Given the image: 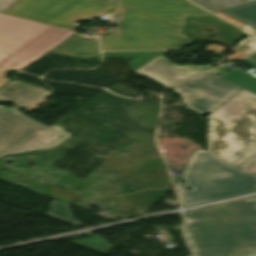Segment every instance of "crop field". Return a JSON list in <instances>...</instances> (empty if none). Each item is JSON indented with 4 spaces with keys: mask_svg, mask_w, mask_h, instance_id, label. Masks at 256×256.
<instances>
[{
    "mask_svg": "<svg viewBox=\"0 0 256 256\" xmlns=\"http://www.w3.org/2000/svg\"><path fill=\"white\" fill-rule=\"evenodd\" d=\"M184 233L195 256H256V197L188 211Z\"/></svg>",
    "mask_w": 256,
    "mask_h": 256,
    "instance_id": "crop-field-1",
    "label": "crop field"
},
{
    "mask_svg": "<svg viewBox=\"0 0 256 256\" xmlns=\"http://www.w3.org/2000/svg\"><path fill=\"white\" fill-rule=\"evenodd\" d=\"M207 138L208 152L244 173H256V95L243 89L210 114Z\"/></svg>",
    "mask_w": 256,
    "mask_h": 256,
    "instance_id": "crop-field-2",
    "label": "crop field"
},
{
    "mask_svg": "<svg viewBox=\"0 0 256 256\" xmlns=\"http://www.w3.org/2000/svg\"><path fill=\"white\" fill-rule=\"evenodd\" d=\"M175 185L182 189L177 192L182 206H189L256 192V174H244L207 151L197 150ZM186 187L192 189L185 191Z\"/></svg>",
    "mask_w": 256,
    "mask_h": 256,
    "instance_id": "crop-field-3",
    "label": "crop field"
},
{
    "mask_svg": "<svg viewBox=\"0 0 256 256\" xmlns=\"http://www.w3.org/2000/svg\"><path fill=\"white\" fill-rule=\"evenodd\" d=\"M119 26L110 36H101L104 51L115 50H179L194 42L180 35L181 29L142 13L119 7L114 14Z\"/></svg>",
    "mask_w": 256,
    "mask_h": 256,
    "instance_id": "crop-field-4",
    "label": "crop field"
},
{
    "mask_svg": "<svg viewBox=\"0 0 256 256\" xmlns=\"http://www.w3.org/2000/svg\"><path fill=\"white\" fill-rule=\"evenodd\" d=\"M72 33L0 14V69L20 70Z\"/></svg>",
    "mask_w": 256,
    "mask_h": 256,
    "instance_id": "crop-field-5",
    "label": "crop field"
},
{
    "mask_svg": "<svg viewBox=\"0 0 256 256\" xmlns=\"http://www.w3.org/2000/svg\"><path fill=\"white\" fill-rule=\"evenodd\" d=\"M69 137L56 124L47 127L13 108H0V157L49 149Z\"/></svg>",
    "mask_w": 256,
    "mask_h": 256,
    "instance_id": "crop-field-6",
    "label": "crop field"
},
{
    "mask_svg": "<svg viewBox=\"0 0 256 256\" xmlns=\"http://www.w3.org/2000/svg\"><path fill=\"white\" fill-rule=\"evenodd\" d=\"M114 7L100 0H17L3 13L76 31V20H94Z\"/></svg>",
    "mask_w": 256,
    "mask_h": 256,
    "instance_id": "crop-field-7",
    "label": "crop field"
},
{
    "mask_svg": "<svg viewBox=\"0 0 256 256\" xmlns=\"http://www.w3.org/2000/svg\"><path fill=\"white\" fill-rule=\"evenodd\" d=\"M216 69L183 82L172 89L183 96L182 101L192 110L206 115L213 112L242 88L220 78Z\"/></svg>",
    "mask_w": 256,
    "mask_h": 256,
    "instance_id": "crop-field-8",
    "label": "crop field"
},
{
    "mask_svg": "<svg viewBox=\"0 0 256 256\" xmlns=\"http://www.w3.org/2000/svg\"><path fill=\"white\" fill-rule=\"evenodd\" d=\"M120 5L142 12L181 28L185 15L203 16L209 12L187 0H119Z\"/></svg>",
    "mask_w": 256,
    "mask_h": 256,
    "instance_id": "crop-field-9",
    "label": "crop field"
},
{
    "mask_svg": "<svg viewBox=\"0 0 256 256\" xmlns=\"http://www.w3.org/2000/svg\"><path fill=\"white\" fill-rule=\"evenodd\" d=\"M176 65L159 56L144 67H140L141 69L135 73L151 78L168 87L205 69L213 68L210 64L207 66L185 65L179 67Z\"/></svg>",
    "mask_w": 256,
    "mask_h": 256,
    "instance_id": "crop-field-10",
    "label": "crop field"
},
{
    "mask_svg": "<svg viewBox=\"0 0 256 256\" xmlns=\"http://www.w3.org/2000/svg\"><path fill=\"white\" fill-rule=\"evenodd\" d=\"M51 92L32 84L8 80L0 86V102H13L17 107H29Z\"/></svg>",
    "mask_w": 256,
    "mask_h": 256,
    "instance_id": "crop-field-11",
    "label": "crop field"
},
{
    "mask_svg": "<svg viewBox=\"0 0 256 256\" xmlns=\"http://www.w3.org/2000/svg\"><path fill=\"white\" fill-rule=\"evenodd\" d=\"M51 52L87 58L89 55L99 56V50L95 39L71 35L64 39Z\"/></svg>",
    "mask_w": 256,
    "mask_h": 256,
    "instance_id": "crop-field-12",
    "label": "crop field"
},
{
    "mask_svg": "<svg viewBox=\"0 0 256 256\" xmlns=\"http://www.w3.org/2000/svg\"><path fill=\"white\" fill-rule=\"evenodd\" d=\"M256 69V54L239 60ZM243 71L236 69L221 75L220 77L256 94V77L242 73ZM256 76V71L251 73Z\"/></svg>",
    "mask_w": 256,
    "mask_h": 256,
    "instance_id": "crop-field-13",
    "label": "crop field"
},
{
    "mask_svg": "<svg viewBox=\"0 0 256 256\" xmlns=\"http://www.w3.org/2000/svg\"><path fill=\"white\" fill-rule=\"evenodd\" d=\"M168 53L167 51L103 52V57L137 56L135 59H138V61L133 59L128 62L131 69L135 71L157 56L161 55L164 57Z\"/></svg>",
    "mask_w": 256,
    "mask_h": 256,
    "instance_id": "crop-field-14",
    "label": "crop field"
},
{
    "mask_svg": "<svg viewBox=\"0 0 256 256\" xmlns=\"http://www.w3.org/2000/svg\"><path fill=\"white\" fill-rule=\"evenodd\" d=\"M49 206L50 210L46 212V215L48 217L61 221L70 226L83 224L82 222L72 218L71 208L69 204L53 200L49 203Z\"/></svg>",
    "mask_w": 256,
    "mask_h": 256,
    "instance_id": "crop-field-15",
    "label": "crop field"
},
{
    "mask_svg": "<svg viewBox=\"0 0 256 256\" xmlns=\"http://www.w3.org/2000/svg\"><path fill=\"white\" fill-rule=\"evenodd\" d=\"M221 12L256 28V1Z\"/></svg>",
    "mask_w": 256,
    "mask_h": 256,
    "instance_id": "crop-field-16",
    "label": "crop field"
},
{
    "mask_svg": "<svg viewBox=\"0 0 256 256\" xmlns=\"http://www.w3.org/2000/svg\"><path fill=\"white\" fill-rule=\"evenodd\" d=\"M73 244L85 249L106 255L113 247L100 236H92L72 241Z\"/></svg>",
    "mask_w": 256,
    "mask_h": 256,
    "instance_id": "crop-field-17",
    "label": "crop field"
},
{
    "mask_svg": "<svg viewBox=\"0 0 256 256\" xmlns=\"http://www.w3.org/2000/svg\"><path fill=\"white\" fill-rule=\"evenodd\" d=\"M202 7L215 12L218 10H225L231 7L249 3L255 0H191Z\"/></svg>",
    "mask_w": 256,
    "mask_h": 256,
    "instance_id": "crop-field-18",
    "label": "crop field"
},
{
    "mask_svg": "<svg viewBox=\"0 0 256 256\" xmlns=\"http://www.w3.org/2000/svg\"><path fill=\"white\" fill-rule=\"evenodd\" d=\"M19 179H23V180H27V181H30L32 183H36V184H39L38 182L36 181H33V180H30V179H27L25 177H19ZM43 185V184H42ZM46 186V185H45ZM48 187H51V186H48ZM53 190H52V193L54 195V198L56 200H59V201H63V202H66V203H71L73 200H76L78 198H81L83 196L81 195H78L76 193H73V192H70L68 191V193H64L65 191L67 190H64V189H61V188H57V187H51Z\"/></svg>",
    "mask_w": 256,
    "mask_h": 256,
    "instance_id": "crop-field-19",
    "label": "crop field"
},
{
    "mask_svg": "<svg viewBox=\"0 0 256 256\" xmlns=\"http://www.w3.org/2000/svg\"><path fill=\"white\" fill-rule=\"evenodd\" d=\"M223 49H225V47L219 46V45H214V44L208 45V46L206 47V51L218 52V53H222ZM227 49H228V48H227ZM229 50L236 52V53H234V54L228 56V57H229L230 59H232V60H234V59H236V58H239V57H241V56L246 55V54H244V53H242V52H240V51H238V50H236V49H234V48H231V49H229Z\"/></svg>",
    "mask_w": 256,
    "mask_h": 256,
    "instance_id": "crop-field-20",
    "label": "crop field"
},
{
    "mask_svg": "<svg viewBox=\"0 0 256 256\" xmlns=\"http://www.w3.org/2000/svg\"><path fill=\"white\" fill-rule=\"evenodd\" d=\"M246 47L250 48L249 50L246 49ZM246 54H249L256 50V42L252 41L251 39L247 38L241 42H239V45L237 47H234Z\"/></svg>",
    "mask_w": 256,
    "mask_h": 256,
    "instance_id": "crop-field-21",
    "label": "crop field"
},
{
    "mask_svg": "<svg viewBox=\"0 0 256 256\" xmlns=\"http://www.w3.org/2000/svg\"><path fill=\"white\" fill-rule=\"evenodd\" d=\"M215 14L220 16V17H222V18H224V19H226V20H228V21H230V22H232V23H234V24H236L239 27H243V25H244L243 23H241V22H239V21H237V20H235V19H233V18H231V17H229V16H227L225 14H222L220 12L215 13Z\"/></svg>",
    "mask_w": 256,
    "mask_h": 256,
    "instance_id": "crop-field-22",
    "label": "crop field"
},
{
    "mask_svg": "<svg viewBox=\"0 0 256 256\" xmlns=\"http://www.w3.org/2000/svg\"><path fill=\"white\" fill-rule=\"evenodd\" d=\"M250 37H252L253 39L256 40V29L248 26V25H244V27L242 28Z\"/></svg>",
    "mask_w": 256,
    "mask_h": 256,
    "instance_id": "crop-field-23",
    "label": "crop field"
},
{
    "mask_svg": "<svg viewBox=\"0 0 256 256\" xmlns=\"http://www.w3.org/2000/svg\"><path fill=\"white\" fill-rule=\"evenodd\" d=\"M15 1L16 0H0V12H3L5 9H7Z\"/></svg>",
    "mask_w": 256,
    "mask_h": 256,
    "instance_id": "crop-field-24",
    "label": "crop field"
},
{
    "mask_svg": "<svg viewBox=\"0 0 256 256\" xmlns=\"http://www.w3.org/2000/svg\"><path fill=\"white\" fill-rule=\"evenodd\" d=\"M7 72L0 71V85L3 84L8 78H4Z\"/></svg>",
    "mask_w": 256,
    "mask_h": 256,
    "instance_id": "crop-field-25",
    "label": "crop field"
},
{
    "mask_svg": "<svg viewBox=\"0 0 256 256\" xmlns=\"http://www.w3.org/2000/svg\"><path fill=\"white\" fill-rule=\"evenodd\" d=\"M47 101H49V100L45 99V100H43V101L37 103L36 105H34V106H32V107H30V108H28V109H26V110L30 111V110H32V109L38 107L39 105H41V104L47 102ZM39 107H40V106H39Z\"/></svg>",
    "mask_w": 256,
    "mask_h": 256,
    "instance_id": "crop-field-26",
    "label": "crop field"
},
{
    "mask_svg": "<svg viewBox=\"0 0 256 256\" xmlns=\"http://www.w3.org/2000/svg\"><path fill=\"white\" fill-rule=\"evenodd\" d=\"M105 1L113 2V3L115 2V0H105Z\"/></svg>",
    "mask_w": 256,
    "mask_h": 256,
    "instance_id": "crop-field-27",
    "label": "crop field"
}]
</instances>
